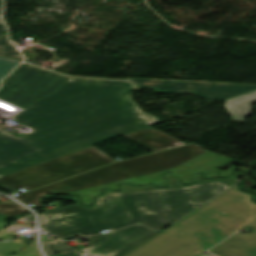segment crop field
<instances>
[{
  "instance_id": "8a807250",
  "label": "crop field",
  "mask_w": 256,
  "mask_h": 256,
  "mask_svg": "<svg viewBox=\"0 0 256 256\" xmlns=\"http://www.w3.org/2000/svg\"><path fill=\"white\" fill-rule=\"evenodd\" d=\"M132 90L125 81L21 64L3 80L0 99L24 109L11 118L32 132L17 138L0 129V177L157 123L130 99Z\"/></svg>"
},
{
  "instance_id": "ac0d7876",
  "label": "crop field",
  "mask_w": 256,
  "mask_h": 256,
  "mask_svg": "<svg viewBox=\"0 0 256 256\" xmlns=\"http://www.w3.org/2000/svg\"><path fill=\"white\" fill-rule=\"evenodd\" d=\"M240 173L228 179H201L189 186H180L177 178H168V189L152 185L130 187L121 185L120 193L104 190L106 194L96 198L91 208L76 204L40 213L41 227L60 239H70L81 234H98L106 229H116L141 221L158 229L191 212L207 200L235 183Z\"/></svg>"
},
{
  "instance_id": "34b2d1b8",
  "label": "crop field",
  "mask_w": 256,
  "mask_h": 256,
  "mask_svg": "<svg viewBox=\"0 0 256 256\" xmlns=\"http://www.w3.org/2000/svg\"><path fill=\"white\" fill-rule=\"evenodd\" d=\"M246 225L256 230L255 223L212 200L125 256H205L201 253ZM209 251L256 256V231L237 233Z\"/></svg>"
},
{
  "instance_id": "412701ff",
  "label": "crop field",
  "mask_w": 256,
  "mask_h": 256,
  "mask_svg": "<svg viewBox=\"0 0 256 256\" xmlns=\"http://www.w3.org/2000/svg\"><path fill=\"white\" fill-rule=\"evenodd\" d=\"M205 152L207 151L200 146L191 144L117 162L32 192L19 194L13 198L26 205L33 203L35 207H39L41 206L39 199L48 193L64 194L92 186L168 170Z\"/></svg>"
},
{
  "instance_id": "f4fd0767",
  "label": "crop field",
  "mask_w": 256,
  "mask_h": 256,
  "mask_svg": "<svg viewBox=\"0 0 256 256\" xmlns=\"http://www.w3.org/2000/svg\"><path fill=\"white\" fill-rule=\"evenodd\" d=\"M113 159L91 146L0 178V187L14 192L43 186L109 163Z\"/></svg>"
},
{
  "instance_id": "dd49c442",
  "label": "crop field",
  "mask_w": 256,
  "mask_h": 256,
  "mask_svg": "<svg viewBox=\"0 0 256 256\" xmlns=\"http://www.w3.org/2000/svg\"><path fill=\"white\" fill-rule=\"evenodd\" d=\"M229 160L231 159L207 152L199 157H196L168 171H170L173 174V176H180L184 183H190L191 177L198 171H202L203 173H205V177L219 176L216 173V167ZM235 169L248 171V169L246 168L231 166L226 171H221L220 176L229 175ZM161 173L162 172L141 176L133 179H128L124 181H119L115 183H110L106 185H101V186H97V187H93V188H89V189H85V190H81V191H77V192H73L65 195L79 194L82 197V203L85 205H89L92 203L94 196L100 193L99 189L111 188L113 190H119V188L116 185L120 182H128L131 184L155 183L156 185L163 186L165 181L161 178L160 176Z\"/></svg>"
},
{
  "instance_id": "e52e79f7",
  "label": "crop field",
  "mask_w": 256,
  "mask_h": 256,
  "mask_svg": "<svg viewBox=\"0 0 256 256\" xmlns=\"http://www.w3.org/2000/svg\"><path fill=\"white\" fill-rule=\"evenodd\" d=\"M135 87H150L157 92L194 93L205 99L226 100L253 90L256 84L221 82H180L172 80H153L128 78Z\"/></svg>"
},
{
  "instance_id": "d8731c3e",
  "label": "crop field",
  "mask_w": 256,
  "mask_h": 256,
  "mask_svg": "<svg viewBox=\"0 0 256 256\" xmlns=\"http://www.w3.org/2000/svg\"><path fill=\"white\" fill-rule=\"evenodd\" d=\"M156 234L158 233L143 225H133L88 237L90 241L81 251L91 256H123Z\"/></svg>"
},
{
  "instance_id": "5a996713",
  "label": "crop field",
  "mask_w": 256,
  "mask_h": 256,
  "mask_svg": "<svg viewBox=\"0 0 256 256\" xmlns=\"http://www.w3.org/2000/svg\"><path fill=\"white\" fill-rule=\"evenodd\" d=\"M122 136L154 152L185 144L151 126Z\"/></svg>"
},
{
  "instance_id": "3316defc",
  "label": "crop field",
  "mask_w": 256,
  "mask_h": 256,
  "mask_svg": "<svg viewBox=\"0 0 256 256\" xmlns=\"http://www.w3.org/2000/svg\"><path fill=\"white\" fill-rule=\"evenodd\" d=\"M251 198L252 195L239 192L235 186L214 200L256 223V204Z\"/></svg>"
},
{
  "instance_id": "28ad6ade",
  "label": "crop field",
  "mask_w": 256,
  "mask_h": 256,
  "mask_svg": "<svg viewBox=\"0 0 256 256\" xmlns=\"http://www.w3.org/2000/svg\"><path fill=\"white\" fill-rule=\"evenodd\" d=\"M256 101V91L229 99L225 101V108L232 116V122L244 121L243 117L250 110V103Z\"/></svg>"
},
{
  "instance_id": "d1516ede",
  "label": "crop field",
  "mask_w": 256,
  "mask_h": 256,
  "mask_svg": "<svg viewBox=\"0 0 256 256\" xmlns=\"http://www.w3.org/2000/svg\"><path fill=\"white\" fill-rule=\"evenodd\" d=\"M0 57L23 60L16 47L7 40V35L0 36Z\"/></svg>"
},
{
  "instance_id": "22f410ed",
  "label": "crop field",
  "mask_w": 256,
  "mask_h": 256,
  "mask_svg": "<svg viewBox=\"0 0 256 256\" xmlns=\"http://www.w3.org/2000/svg\"><path fill=\"white\" fill-rule=\"evenodd\" d=\"M42 246L47 255L76 250L57 239L44 241L42 242Z\"/></svg>"
},
{
  "instance_id": "cbeb9de0",
  "label": "crop field",
  "mask_w": 256,
  "mask_h": 256,
  "mask_svg": "<svg viewBox=\"0 0 256 256\" xmlns=\"http://www.w3.org/2000/svg\"><path fill=\"white\" fill-rule=\"evenodd\" d=\"M25 212V208L21 207L20 205L13 203V204H0V214L14 216L19 215Z\"/></svg>"
},
{
  "instance_id": "5142ce71",
  "label": "crop field",
  "mask_w": 256,
  "mask_h": 256,
  "mask_svg": "<svg viewBox=\"0 0 256 256\" xmlns=\"http://www.w3.org/2000/svg\"><path fill=\"white\" fill-rule=\"evenodd\" d=\"M24 244L25 243L15 241L0 243V256H18L13 255L12 253L16 248L21 247Z\"/></svg>"
},
{
  "instance_id": "d9b57169",
  "label": "crop field",
  "mask_w": 256,
  "mask_h": 256,
  "mask_svg": "<svg viewBox=\"0 0 256 256\" xmlns=\"http://www.w3.org/2000/svg\"><path fill=\"white\" fill-rule=\"evenodd\" d=\"M19 63L20 61L0 58V80Z\"/></svg>"
},
{
  "instance_id": "733c2abd",
  "label": "crop field",
  "mask_w": 256,
  "mask_h": 256,
  "mask_svg": "<svg viewBox=\"0 0 256 256\" xmlns=\"http://www.w3.org/2000/svg\"><path fill=\"white\" fill-rule=\"evenodd\" d=\"M18 254H31L41 256L39 249L36 245V241L32 242L31 245L18 252Z\"/></svg>"
},
{
  "instance_id": "4a817a6b",
  "label": "crop field",
  "mask_w": 256,
  "mask_h": 256,
  "mask_svg": "<svg viewBox=\"0 0 256 256\" xmlns=\"http://www.w3.org/2000/svg\"><path fill=\"white\" fill-rule=\"evenodd\" d=\"M2 0H0V35L7 31L6 26L3 24L2 19Z\"/></svg>"
},
{
  "instance_id": "bc2a9ffb",
  "label": "crop field",
  "mask_w": 256,
  "mask_h": 256,
  "mask_svg": "<svg viewBox=\"0 0 256 256\" xmlns=\"http://www.w3.org/2000/svg\"><path fill=\"white\" fill-rule=\"evenodd\" d=\"M16 236H12V235H9V236H6V237H3V238H0V241H4V240H11L13 238H15Z\"/></svg>"
},
{
  "instance_id": "214f88e0",
  "label": "crop field",
  "mask_w": 256,
  "mask_h": 256,
  "mask_svg": "<svg viewBox=\"0 0 256 256\" xmlns=\"http://www.w3.org/2000/svg\"><path fill=\"white\" fill-rule=\"evenodd\" d=\"M9 232H11V231H9L8 229L0 230V236L4 235V234H7Z\"/></svg>"
},
{
  "instance_id": "92a150f3",
  "label": "crop field",
  "mask_w": 256,
  "mask_h": 256,
  "mask_svg": "<svg viewBox=\"0 0 256 256\" xmlns=\"http://www.w3.org/2000/svg\"><path fill=\"white\" fill-rule=\"evenodd\" d=\"M64 256H73V255H72V253H69V254H64ZM79 256H89V255L83 253V254H81V255H79Z\"/></svg>"
},
{
  "instance_id": "dafd665d",
  "label": "crop field",
  "mask_w": 256,
  "mask_h": 256,
  "mask_svg": "<svg viewBox=\"0 0 256 256\" xmlns=\"http://www.w3.org/2000/svg\"><path fill=\"white\" fill-rule=\"evenodd\" d=\"M67 253H69V252H67ZM72 253H73V255L77 256V255L81 254L82 252H80V251H74V252H72ZM63 254H64V253H63Z\"/></svg>"
},
{
  "instance_id": "00972430",
  "label": "crop field",
  "mask_w": 256,
  "mask_h": 256,
  "mask_svg": "<svg viewBox=\"0 0 256 256\" xmlns=\"http://www.w3.org/2000/svg\"><path fill=\"white\" fill-rule=\"evenodd\" d=\"M4 225V223H0V226Z\"/></svg>"
}]
</instances>
